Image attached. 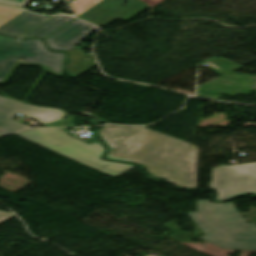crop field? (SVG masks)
Returning <instances> with one entry per match:
<instances>
[{
  "instance_id": "12",
  "label": "crop field",
  "mask_w": 256,
  "mask_h": 256,
  "mask_svg": "<svg viewBox=\"0 0 256 256\" xmlns=\"http://www.w3.org/2000/svg\"><path fill=\"white\" fill-rule=\"evenodd\" d=\"M21 10L0 6V26L20 14Z\"/></svg>"
},
{
  "instance_id": "13",
  "label": "crop field",
  "mask_w": 256,
  "mask_h": 256,
  "mask_svg": "<svg viewBox=\"0 0 256 256\" xmlns=\"http://www.w3.org/2000/svg\"><path fill=\"white\" fill-rule=\"evenodd\" d=\"M15 217L12 213H6L0 211V224Z\"/></svg>"
},
{
  "instance_id": "9",
  "label": "crop field",
  "mask_w": 256,
  "mask_h": 256,
  "mask_svg": "<svg viewBox=\"0 0 256 256\" xmlns=\"http://www.w3.org/2000/svg\"><path fill=\"white\" fill-rule=\"evenodd\" d=\"M45 19L46 17L23 12L0 27V33L19 37Z\"/></svg>"
},
{
  "instance_id": "2",
  "label": "crop field",
  "mask_w": 256,
  "mask_h": 256,
  "mask_svg": "<svg viewBox=\"0 0 256 256\" xmlns=\"http://www.w3.org/2000/svg\"><path fill=\"white\" fill-rule=\"evenodd\" d=\"M189 215L207 235L200 239L224 249L256 250V224H246L233 203L198 200V211Z\"/></svg>"
},
{
  "instance_id": "8",
  "label": "crop field",
  "mask_w": 256,
  "mask_h": 256,
  "mask_svg": "<svg viewBox=\"0 0 256 256\" xmlns=\"http://www.w3.org/2000/svg\"><path fill=\"white\" fill-rule=\"evenodd\" d=\"M123 1L129 2L130 6H121L120 3ZM145 8L147 6L137 0H106L79 18L106 26L115 19L129 20Z\"/></svg>"
},
{
  "instance_id": "1",
  "label": "crop field",
  "mask_w": 256,
  "mask_h": 256,
  "mask_svg": "<svg viewBox=\"0 0 256 256\" xmlns=\"http://www.w3.org/2000/svg\"><path fill=\"white\" fill-rule=\"evenodd\" d=\"M105 158L141 164L157 177L182 188H197V147L146 127L103 126Z\"/></svg>"
},
{
  "instance_id": "7",
  "label": "crop field",
  "mask_w": 256,
  "mask_h": 256,
  "mask_svg": "<svg viewBox=\"0 0 256 256\" xmlns=\"http://www.w3.org/2000/svg\"><path fill=\"white\" fill-rule=\"evenodd\" d=\"M17 112L30 116L42 123H48L65 117L64 113L59 110L30 106L0 97V136L28 127L13 121Z\"/></svg>"
},
{
  "instance_id": "11",
  "label": "crop field",
  "mask_w": 256,
  "mask_h": 256,
  "mask_svg": "<svg viewBox=\"0 0 256 256\" xmlns=\"http://www.w3.org/2000/svg\"><path fill=\"white\" fill-rule=\"evenodd\" d=\"M72 19L73 18H70L68 16H55L52 19H50L48 22H46L40 27L38 26L39 28L35 29L34 31H32L31 33L27 34L22 38H27L30 36H39L44 38Z\"/></svg>"
},
{
  "instance_id": "3",
  "label": "crop field",
  "mask_w": 256,
  "mask_h": 256,
  "mask_svg": "<svg viewBox=\"0 0 256 256\" xmlns=\"http://www.w3.org/2000/svg\"><path fill=\"white\" fill-rule=\"evenodd\" d=\"M16 135L50 148L113 177H119L133 167L101 159L104 150L99 141L88 145L60 129H29Z\"/></svg>"
},
{
  "instance_id": "14",
  "label": "crop field",
  "mask_w": 256,
  "mask_h": 256,
  "mask_svg": "<svg viewBox=\"0 0 256 256\" xmlns=\"http://www.w3.org/2000/svg\"><path fill=\"white\" fill-rule=\"evenodd\" d=\"M144 3H146L148 6L153 7L156 4H158L159 2L163 1V0H141Z\"/></svg>"
},
{
  "instance_id": "4",
  "label": "crop field",
  "mask_w": 256,
  "mask_h": 256,
  "mask_svg": "<svg viewBox=\"0 0 256 256\" xmlns=\"http://www.w3.org/2000/svg\"><path fill=\"white\" fill-rule=\"evenodd\" d=\"M18 56L25 61H16ZM64 60V53L48 51L40 39L22 40L0 35V84H5L18 65H38L60 77Z\"/></svg>"
},
{
  "instance_id": "10",
  "label": "crop field",
  "mask_w": 256,
  "mask_h": 256,
  "mask_svg": "<svg viewBox=\"0 0 256 256\" xmlns=\"http://www.w3.org/2000/svg\"><path fill=\"white\" fill-rule=\"evenodd\" d=\"M28 1L29 0H0V4L24 7ZM101 1L103 0H72L68 4L74 11L75 15L79 16Z\"/></svg>"
},
{
  "instance_id": "6",
  "label": "crop field",
  "mask_w": 256,
  "mask_h": 256,
  "mask_svg": "<svg viewBox=\"0 0 256 256\" xmlns=\"http://www.w3.org/2000/svg\"><path fill=\"white\" fill-rule=\"evenodd\" d=\"M209 188L216 189L217 200L244 193L256 194V162L213 168Z\"/></svg>"
},
{
  "instance_id": "5",
  "label": "crop field",
  "mask_w": 256,
  "mask_h": 256,
  "mask_svg": "<svg viewBox=\"0 0 256 256\" xmlns=\"http://www.w3.org/2000/svg\"><path fill=\"white\" fill-rule=\"evenodd\" d=\"M95 29H97L95 26L75 19L44 39L50 49L64 50L69 53L66 70L74 77L97 65L92 53L89 55L84 53L82 46L76 49L72 48Z\"/></svg>"
}]
</instances>
